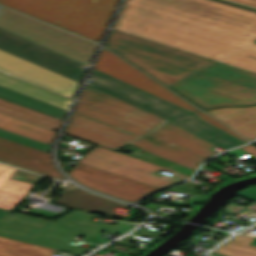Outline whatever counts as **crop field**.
Here are the masks:
<instances>
[{
	"mask_svg": "<svg viewBox=\"0 0 256 256\" xmlns=\"http://www.w3.org/2000/svg\"><path fill=\"white\" fill-rule=\"evenodd\" d=\"M112 29L217 61L256 41V12L215 0H125Z\"/></svg>",
	"mask_w": 256,
	"mask_h": 256,
	"instance_id": "obj_1",
	"label": "crop field"
},
{
	"mask_svg": "<svg viewBox=\"0 0 256 256\" xmlns=\"http://www.w3.org/2000/svg\"><path fill=\"white\" fill-rule=\"evenodd\" d=\"M164 120L87 86L66 134L114 151L129 143L192 170L216 154L217 146L168 120L132 142Z\"/></svg>",
	"mask_w": 256,
	"mask_h": 256,
	"instance_id": "obj_2",
	"label": "crop field"
},
{
	"mask_svg": "<svg viewBox=\"0 0 256 256\" xmlns=\"http://www.w3.org/2000/svg\"><path fill=\"white\" fill-rule=\"evenodd\" d=\"M90 217V213L76 211L53 223L19 214H8L0 221V236L81 255L88 249L67 244L76 236L81 235L86 241L100 244L101 242L90 240L98 232L122 234L134 225L122 222L116 226L97 223L88 220Z\"/></svg>",
	"mask_w": 256,
	"mask_h": 256,
	"instance_id": "obj_3",
	"label": "crop field"
},
{
	"mask_svg": "<svg viewBox=\"0 0 256 256\" xmlns=\"http://www.w3.org/2000/svg\"><path fill=\"white\" fill-rule=\"evenodd\" d=\"M117 1L0 0V4L99 42Z\"/></svg>",
	"mask_w": 256,
	"mask_h": 256,
	"instance_id": "obj_4",
	"label": "crop field"
},
{
	"mask_svg": "<svg viewBox=\"0 0 256 256\" xmlns=\"http://www.w3.org/2000/svg\"><path fill=\"white\" fill-rule=\"evenodd\" d=\"M171 87L204 109L256 104V74L221 63Z\"/></svg>",
	"mask_w": 256,
	"mask_h": 256,
	"instance_id": "obj_5",
	"label": "crop field"
},
{
	"mask_svg": "<svg viewBox=\"0 0 256 256\" xmlns=\"http://www.w3.org/2000/svg\"><path fill=\"white\" fill-rule=\"evenodd\" d=\"M86 85L168 119L224 149L244 144L234 137L200 120L194 113L95 69H93Z\"/></svg>",
	"mask_w": 256,
	"mask_h": 256,
	"instance_id": "obj_6",
	"label": "crop field"
},
{
	"mask_svg": "<svg viewBox=\"0 0 256 256\" xmlns=\"http://www.w3.org/2000/svg\"><path fill=\"white\" fill-rule=\"evenodd\" d=\"M105 46L166 85L215 62L113 30Z\"/></svg>",
	"mask_w": 256,
	"mask_h": 256,
	"instance_id": "obj_7",
	"label": "crop field"
},
{
	"mask_svg": "<svg viewBox=\"0 0 256 256\" xmlns=\"http://www.w3.org/2000/svg\"><path fill=\"white\" fill-rule=\"evenodd\" d=\"M0 28L88 65L97 44L0 7Z\"/></svg>",
	"mask_w": 256,
	"mask_h": 256,
	"instance_id": "obj_8",
	"label": "crop field"
},
{
	"mask_svg": "<svg viewBox=\"0 0 256 256\" xmlns=\"http://www.w3.org/2000/svg\"><path fill=\"white\" fill-rule=\"evenodd\" d=\"M94 68L135 87H138L144 91H147L153 95L163 98L169 102H172L178 106H181L191 112H194L200 119L210 123L211 125L223 130L224 132L245 143L247 142L105 49L102 50Z\"/></svg>",
	"mask_w": 256,
	"mask_h": 256,
	"instance_id": "obj_9",
	"label": "crop field"
},
{
	"mask_svg": "<svg viewBox=\"0 0 256 256\" xmlns=\"http://www.w3.org/2000/svg\"><path fill=\"white\" fill-rule=\"evenodd\" d=\"M0 49L43 66L66 77L81 81L86 66L0 29Z\"/></svg>",
	"mask_w": 256,
	"mask_h": 256,
	"instance_id": "obj_10",
	"label": "crop field"
},
{
	"mask_svg": "<svg viewBox=\"0 0 256 256\" xmlns=\"http://www.w3.org/2000/svg\"><path fill=\"white\" fill-rule=\"evenodd\" d=\"M78 182L103 193L131 202L156 189L130 179L109 174L81 164L68 173Z\"/></svg>",
	"mask_w": 256,
	"mask_h": 256,
	"instance_id": "obj_11",
	"label": "crop field"
},
{
	"mask_svg": "<svg viewBox=\"0 0 256 256\" xmlns=\"http://www.w3.org/2000/svg\"><path fill=\"white\" fill-rule=\"evenodd\" d=\"M0 70L73 97L78 82L0 50Z\"/></svg>",
	"mask_w": 256,
	"mask_h": 256,
	"instance_id": "obj_12",
	"label": "crop field"
},
{
	"mask_svg": "<svg viewBox=\"0 0 256 256\" xmlns=\"http://www.w3.org/2000/svg\"><path fill=\"white\" fill-rule=\"evenodd\" d=\"M0 160L65 179L53 166L50 154L0 138Z\"/></svg>",
	"mask_w": 256,
	"mask_h": 256,
	"instance_id": "obj_13",
	"label": "crop field"
},
{
	"mask_svg": "<svg viewBox=\"0 0 256 256\" xmlns=\"http://www.w3.org/2000/svg\"><path fill=\"white\" fill-rule=\"evenodd\" d=\"M75 162H79L81 164H84L90 167H94L106 172H110L116 175L130 178V179H133L151 186H155L158 188L178 182V180H166L150 172L142 171V170H139L130 166L122 165V164H116V163L92 158L86 155L77 159Z\"/></svg>",
	"mask_w": 256,
	"mask_h": 256,
	"instance_id": "obj_14",
	"label": "crop field"
},
{
	"mask_svg": "<svg viewBox=\"0 0 256 256\" xmlns=\"http://www.w3.org/2000/svg\"><path fill=\"white\" fill-rule=\"evenodd\" d=\"M207 112L249 140L256 138V106L225 107Z\"/></svg>",
	"mask_w": 256,
	"mask_h": 256,
	"instance_id": "obj_15",
	"label": "crop field"
},
{
	"mask_svg": "<svg viewBox=\"0 0 256 256\" xmlns=\"http://www.w3.org/2000/svg\"><path fill=\"white\" fill-rule=\"evenodd\" d=\"M55 202L76 208L79 207L86 211H100L109 216H114L117 213L114 212V208L119 206L127 209L128 206L114 202L112 200L102 198L96 195H92L80 188H76L72 192H61V196L58 197Z\"/></svg>",
	"mask_w": 256,
	"mask_h": 256,
	"instance_id": "obj_16",
	"label": "crop field"
},
{
	"mask_svg": "<svg viewBox=\"0 0 256 256\" xmlns=\"http://www.w3.org/2000/svg\"><path fill=\"white\" fill-rule=\"evenodd\" d=\"M15 169L0 165V209L11 211L34 187L33 184L10 179Z\"/></svg>",
	"mask_w": 256,
	"mask_h": 256,
	"instance_id": "obj_17",
	"label": "crop field"
},
{
	"mask_svg": "<svg viewBox=\"0 0 256 256\" xmlns=\"http://www.w3.org/2000/svg\"><path fill=\"white\" fill-rule=\"evenodd\" d=\"M0 85L68 109L71 99L0 72Z\"/></svg>",
	"mask_w": 256,
	"mask_h": 256,
	"instance_id": "obj_18",
	"label": "crop field"
},
{
	"mask_svg": "<svg viewBox=\"0 0 256 256\" xmlns=\"http://www.w3.org/2000/svg\"><path fill=\"white\" fill-rule=\"evenodd\" d=\"M0 98L61 120L67 111L61 107L52 105L50 103L41 101L39 99L30 97L3 86H0Z\"/></svg>",
	"mask_w": 256,
	"mask_h": 256,
	"instance_id": "obj_19",
	"label": "crop field"
},
{
	"mask_svg": "<svg viewBox=\"0 0 256 256\" xmlns=\"http://www.w3.org/2000/svg\"><path fill=\"white\" fill-rule=\"evenodd\" d=\"M0 127L50 144L57 133L2 113H0Z\"/></svg>",
	"mask_w": 256,
	"mask_h": 256,
	"instance_id": "obj_20",
	"label": "crop field"
},
{
	"mask_svg": "<svg viewBox=\"0 0 256 256\" xmlns=\"http://www.w3.org/2000/svg\"><path fill=\"white\" fill-rule=\"evenodd\" d=\"M86 155L104 159V160H108V161H112V162L130 165V166H133V167H136L139 169H143V170H147L150 172H154L158 169L166 170V171L176 174L175 177H177L181 180L188 177L186 175H183L178 172L169 170L167 168L158 166L156 164H153V163L141 160V159H137V158H134V157H131L128 155L120 154V153L108 150V149L100 147V146H98V147L94 148L93 150H91L90 152L86 153Z\"/></svg>",
	"mask_w": 256,
	"mask_h": 256,
	"instance_id": "obj_21",
	"label": "crop field"
},
{
	"mask_svg": "<svg viewBox=\"0 0 256 256\" xmlns=\"http://www.w3.org/2000/svg\"><path fill=\"white\" fill-rule=\"evenodd\" d=\"M0 112L35 123L37 125L60 131L62 122L61 120L49 117L47 115L29 110L19 105L10 103L0 99Z\"/></svg>",
	"mask_w": 256,
	"mask_h": 256,
	"instance_id": "obj_22",
	"label": "crop field"
},
{
	"mask_svg": "<svg viewBox=\"0 0 256 256\" xmlns=\"http://www.w3.org/2000/svg\"><path fill=\"white\" fill-rule=\"evenodd\" d=\"M54 250L0 237V256H52Z\"/></svg>",
	"mask_w": 256,
	"mask_h": 256,
	"instance_id": "obj_23",
	"label": "crop field"
},
{
	"mask_svg": "<svg viewBox=\"0 0 256 256\" xmlns=\"http://www.w3.org/2000/svg\"><path fill=\"white\" fill-rule=\"evenodd\" d=\"M253 237L238 235L214 252L228 256H256V246L249 245Z\"/></svg>",
	"mask_w": 256,
	"mask_h": 256,
	"instance_id": "obj_24",
	"label": "crop field"
},
{
	"mask_svg": "<svg viewBox=\"0 0 256 256\" xmlns=\"http://www.w3.org/2000/svg\"><path fill=\"white\" fill-rule=\"evenodd\" d=\"M219 62L256 73V43Z\"/></svg>",
	"mask_w": 256,
	"mask_h": 256,
	"instance_id": "obj_25",
	"label": "crop field"
},
{
	"mask_svg": "<svg viewBox=\"0 0 256 256\" xmlns=\"http://www.w3.org/2000/svg\"><path fill=\"white\" fill-rule=\"evenodd\" d=\"M0 137L47 153H49L51 148L50 144L40 142L4 129H0Z\"/></svg>",
	"mask_w": 256,
	"mask_h": 256,
	"instance_id": "obj_26",
	"label": "crop field"
},
{
	"mask_svg": "<svg viewBox=\"0 0 256 256\" xmlns=\"http://www.w3.org/2000/svg\"><path fill=\"white\" fill-rule=\"evenodd\" d=\"M238 195L256 201V187L244 190Z\"/></svg>",
	"mask_w": 256,
	"mask_h": 256,
	"instance_id": "obj_27",
	"label": "crop field"
},
{
	"mask_svg": "<svg viewBox=\"0 0 256 256\" xmlns=\"http://www.w3.org/2000/svg\"><path fill=\"white\" fill-rule=\"evenodd\" d=\"M137 233L150 235V236H154V237H158V238H161L163 235H165L164 233L152 232V231H147V230H143V229L138 230Z\"/></svg>",
	"mask_w": 256,
	"mask_h": 256,
	"instance_id": "obj_28",
	"label": "crop field"
},
{
	"mask_svg": "<svg viewBox=\"0 0 256 256\" xmlns=\"http://www.w3.org/2000/svg\"><path fill=\"white\" fill-rule=\"evenodd\" d=\"M174 189V188H173ZM191 193V192H190ZM192 194H194V196H193V198L192 199H190V200H188L187 202H191V203H200V202H202L204 199H205V197L206 196H200V195H197V194H195V193H192Z\"/></svg>",
	"mask_w": 256,
	"mask_h": 256,
	"instance_id": "obj_29",
	"label": "crop field"
},
{
	"mask_svg": "<svg viewBox=\"0 0 256 256\" xmlns=\"http://www.w3.org/2000/svg\"><path fill=\"white\" fill-rule=\"evenodd\" d=\"M242 149H244L245 151L249 152L250 154L256 157V147L253 146L252 144L242 147Z\"/></svg>",
	"mask_w": 256,
	"mask_h": 256,
	"instance_id": "obj_30",
	"label": "crop field"
},
{
	"mask_svg": "<svg viewBox=\"0 0 256 256\" xmlns=\"http://www.w3.org/2000/svg\"><path fill=\"white\" fill-rule=\"evenodd\" d=\"M232 1L240 2V3H244V4H248L256 7V0H232Z\"/></svg>",
	"mask_w": 256,
	"mask_h": 256,
	"instance_id": "obj_31",
	"label": "crop field"
},
{
	"mask_svg": "<svg viewBox=\"0 0 256 256\" xmlns=\"http://www.w3.org/2000/svg\"><path fill=\"white\" fill-rule=\"evenodd\" d=\"M213 232L221 233V234H224V235H227V234H228V233H226V232H223V231H217V230H214Z\"/></svg>",
	"mask_w": 256,
	"mask_h": 256,
	"instance_id": "obj_32",
	"label": "crop field"
},
{
	"mask_svg": "<svg viewBox=\"0 0 256 256\" xmlns=\"http://www.w3.org/2000/svg\"><path fill=\"white\" fill-rule=\"evenodd\" d=\"M210 255L211 256H223V255H220V254H217V253H214V252H212Z\"/></svg>",
	"mask_w": 256,
	"mask_h": 256,
	"instance_id": "obj_33",
	"label": "crop field"
},
{
	"mask_svg": "<svg viewBox=\"0 0 256 256\" xmlns=\"http://www.w3.org/2000/svg\"><path fill=\"white\" fill-rule=\"evenodd\" d=\"M6 212V210H0V216L3 215Z\"/></svg>",
	"mask_w": 256,
	"mask_h": 256,
	"instance_id": "obj_34",
	"label": "crop field"
},
{
	"mask_svg": "<svg viewBox=\"0 0 256 256\" xmlns=\"http://www.w3.org/2000/svg\"><path fill=\"white\" fill-rule=\"evenodd\" d=\"M256 143V142H255Z\"/></svg>",
	"mask_w": 256,
	"mask_h": 256,
	"instance_id": "obj_35",
	"label": "crop field"
}]
</instances>
